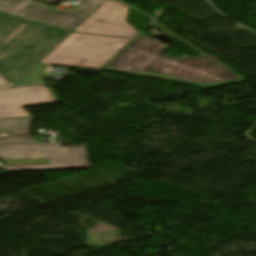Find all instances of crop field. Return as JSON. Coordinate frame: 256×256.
<instances>
[{"instance_id":"obj_1","label":"crop field","mask_w":256,"mask_h":256,"mask_svg":"<svg viewBox=\"0 0 256 256\" xmlns=\"http://www.w3.org/2000/svg\"><path fill=\"white\" fill-rule=\"evenodd\" d=\"M170 46L139 33L104 68L209 87L242 80L209 55L178 60L162 54Z\"/></svg>"},{"instance_id":"obj_2","label":"crop field","mask_w":256,"mask_h":256,"mask_svg":"<svg viewBox=\"0 0 256 256\" xmlns=\"http://www.w3.org/2000/svg\"><path fill=\"white\" fill-rule=\"evenodd\" d=\"M71 33L0 14V76L13 87Z\"/></svg>"},{"instance_id":"obj_3","label":"crop field","mask_w":256,"mask_h":256,"mask_svg":"<svg viewBox=\"0 0 256 256\" xmlns=\"http://www.w3.org/2000/svg\"><path fill=\"white\" fill-rule=\"evenodd\" d=\"M8 172L90 168L85 145L57 143L0 145Z\"/></svg>"},{"instance_id":"obj_4","label":"crop field","mask_w":256,"mask_h":256,"mask_svg":"<svg viewBox=\"0 0 256 256\" xmlns=\"http://www.w3.org/2000/svg\"><path fill=\"white\" fill-rule=\"evenodd\" d=\"M128 41L72 33L40 63L99 69Z\"/></svg>"},{"instance_id":"obj_5","label":"crop field","mask_w":256,"mask_h":256,"mask_svg":"<svg viewBox=\"0 0 256 256\" xmlns=\"http://www.w3.org/2000/svg\"><path fill=\"white\" fill-rule=\"evenodd\" d=\"M81 1L82 3L77 9L53 11L49 7L31 0H0V12L73 31L105 0Z\"/></svg>"},{"instance_id":"obj_6","label":"crop field","mask_w":256,"mask_h":256,"mask_svg":"<svg viewBox=\"0 0 256 256\" xmlns=\"http://www.w3.org/2000/svg\"><path fill=\"white\" fill-rule=\"evenodd\" d=\"M129 7L106 0L74 31L132 38L138 32L126 21Z\"/></svg>"},{"instance_id":"obj_7","label":"crop field","mask_w":256,"mask_h":256,"mask_svg":"<svg viewBox=\"0 0 256 256\" xmlns=\"http://www.w3.org/2000/svg\"><path fill=\"white\" fill-rule=\"evenodd\" d=\"M54 102L43 85L0 90V118L31 116L21 107Z\"/></svg>"},{"instance_id":"obj_8","label":"crop field","mask_w":256,"mask_h":256,"mask_svg":"<svg viewBox=\"0 0 256 256\" xmlns=\"http://www.w3.org/2000/svg\"><path fill=\"white\" fill-rule=\"evenodd\" d=\"M32 117L0 119V143H18L36 141L30 136Z\"/></svg>"},{"instance_id":"obj_9","label":"crop field","mask_w":256,"mask_h":256,"mask_svg":"<svg viewBox=\"0 0 256 256\" xmlns=\"http://www.w3.org/2000/svg\"><path fill=\"white\" fill-rule=\"evenodd\" d=\"M48 65L38 64L33 70H31L21 81H19L14 87L16 86H23V85H31V84H38L43 83L42 78L47 75L45 69Z\"/></svg>"},{"instance_id":"obj_10","label":"crop field","mask_w":256,"mask_h":256,"mask_svg":"<svg viewBox=\"0 0 256 256\" xmlns=\"http://www.w3.org/2000/svg\"><path fill=\"white\" fill-rule=\"evenodd\" d=\"M10 87L1 77H0V89Z\"/></svg>"},{"instance_id":"obj_11","label":"crop field","mask_w":256,"mask_h":256,"mask_svg":"<svg viewBox=\"0 0 256 256\" xmlns=\"http://www.w3.org/2000/svg\"><path fill=\"white\" fill-rule=\"evenodd\" d=\"M38 1H41V2H44V3H47V4H52V3H56L60 0H38Z\"/></svg>"},{"instance_id":"obj_12","label":"crop field","mask_w":256,"mask_h":256,"mask_svg":"<svg viewBox=\"0 0 256 256\" xmlns=\"http://www.w3.org/2000/svg\"><path fill=\"white\" fill-rule=\"evenodd\" d=\"M1 168V167H0Z\"/></svg>"}]
</instances>
